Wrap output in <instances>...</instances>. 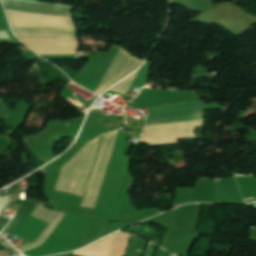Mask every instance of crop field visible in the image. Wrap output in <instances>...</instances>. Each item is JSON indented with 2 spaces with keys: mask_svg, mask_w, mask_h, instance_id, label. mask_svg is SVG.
Segmentation results:
<instances>
[{
  "mask_svg": "<svg viewBox=\"0 0 256 256\" xmlns=\"http://www.w3.org/2000/svg\"><path fill=\"white\" fill-rule=\"evenodd\" d=\"M97 148L98 138L88 141L68 162L63 164L55 190L82 196Z\"/></svg>",
  "mask_w": 256,
  "mask_h": 256,
  "instance_id": "8a807250",
  "label": "crop field"
},
{
  "mask_svg": "<svg viewBox=\"0 0 256 256\" xmlns=\"http://www.w3.org/2000/svg\"><path fill=\"white\" fill-rule=\"evenodd\" d=\"M119 131V130H118ZM118 131L105 134L101 138L99 152L82 199V207L94 208L108 165L110 163Z\"/></svg>",
  "mask_w": 256,
  "mask_h": 256,
  "instance_id": "ac0d7876",
  "label": "crop field"
},
{
  "mask_svg": "<svg viewBox=\"0 0 256 256\" xmlns=\"http://www.w3.org/2000/svg\"><path fill=\"white\" fill-rule=\"evenodd\" d=\"M149 109L151 116L147 124L204 120L201 101Z\"/></svg>",
  "mask_w": 256,
  "mask_h": 256,
  "instance_id": "34b2d1b8",
  "label": "crop field"
},
{
  "mask_svg": "<svg viewBox=\"0 0 256 256\" xmlns=\"http://www.w3.org/2000/svg\"><path fill=\"white\" fill-rule=\"evenodd\" d=\"M141 62L142 60L128 53L124 48H121L100 81L95 93L101 94L113 83L133 72L141 64Z\"/></svg>",
  "mask_w": 256,
  "mask_h": 256,
  "instance_id": "412701ff",
  "label": "crop field"
},
{
  "mask_svg": "<svg viewBox=\"0 0 256 256\" xmlns=\"http://www.w3.org/2000/svg\"><path fill=\"white\" fill-rule=\"evenodd\" d=\"M130 236L127 233L117 232L73 254L81 256H125Z\"/></svg>",
  "mask_w": 256,
  "mask_h": 256,
  "instance_id": "f4fd0767",
  "label": "crop field"
},
{
  "mask_svg": "<svg viewBox=\"0 0 256 256\" xmlns=\"http://www.w3.org/2000/svg\"><path fill=\"white\" fill-rule=\"evenodd\" d=\"M6 3L20 4V5H28L42 8H50V9H58V10H66L69 11L75 6L69 5H59V4H46L41 2H34L29 0H1ZM7 10H15V11H23V12H31V13H39L46 15H55V16H66L71 17L69 12L66 11H58V10H50V9H42L35 7H27V6H19V5H11L3 3Z\"/></svg>",
  "mask_w": 256,
  "mask_h": 256,
  "instance_id": "dd49c442",
  "label": "crop field"
},
{
  "mask_svg": "<svg viewBox=\"0 0 256 256\" xmlns=\"http://www.w3.org/2000/svg\"><path fill=\"white\" fill-rule=\"evenodd\" d=\"M218 202L244 203L234 177L215 180ZM246 198L247 199H253Z\"/></svg>",
  "mask_w": 256,
  "mask_h": 256,
  "instance_id": "e52e79f7",
  "label": "crop field"
},
{
  "mask_svg": "<svg viewBox=\"0 0 256 256\" xmlns=\"http://www.w3.org/2000/svg\"><path fill=\"white\" fill-rule=\"evenodd\" d=\"M138 71L135 74H133L131 77L126 79L125 81H123V82L119 83L118 85H116L113 89H111V91H114V92H117V93L125 95V93L128 90L129 86L131 85V83L135 79Z\"/></svg>",
  "mask_w": 256,
  "mask_h": 256,
  "instance_id": "d8731c3e",
  "label": "crop field"
}]
</instances>
